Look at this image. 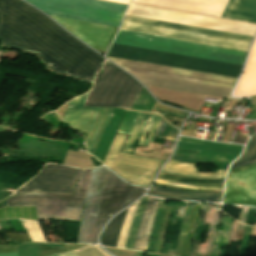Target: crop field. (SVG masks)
<instances>
[{
	"label": "crop field",
	"instance_id": "crop-field-1",
	"mask_svg": "<svg viewBox=\"0 0 256 256\" xmlns=\"http://www.w3.org/2000/svg\"><path fill=\"white\" fill-rule=\"evenodd\" d=\"M4 46L38 55L53 71L92 81L105 59L19 0H0Z\"/></svg>",
	"mask_w": 256,
	"mask_h": 256
},
{
	"label": "crop field",
	"instance_id": "crop-field-2",
	"mask_svg": "<svg viewBox=\"0 0 256 256\" xmlns=\"http://www.w3.org/2000/svg\"><path fill=\"white\" fill-rule=\"evenodd\" d=\"M145 191L128 185L106 167L93 169L77 243H97L105 222Z\"/></svg>",
	"mask_w": 256,
	"mask_h": 256
},
{
	"label": "crop field",
	"instance_id": "crop-field-3",
	"mask_svg": "<svg viewBox=\"0 0 256 256\" xmlns=\"http://www.w3.org/2000/svg\"><path fill=\"white\" fill-rule=\"evenodd\" d=\"M124 20L249 41L248 43L246 41H241V40H235V39L127 22V21H124L121 26V30L123 31L135 32V33L243 50V51L246 50L247 43H248V47L246 51H248L249 45L253 38L250 36H244V35H238V34H232V33H226V32L214 31V30H207V29L171 24V23H164V22L128 17V16H125Z\"/></svg>",
	"mask_w": 256,
	"mask_h": 256
},
{
	"label": "crop field",
	"instance_id": "crop-field-4",
	"mask_svg": "<svg viewBox=\"0 0 256 256\" xmlns=\"http://www.w3.org/2000/svg\"><path fill=\"white\" fill-rule=\"evenodd\" d=\"M92 169L81 170L74 195L55 193H25L7 200L8 206L37 204L39 220L79 221Z\"/></svg>",
	"mask_w": 256,
	"mask_h": 256
},
{
	"label": "crop field",
	"instance_id": "crop-field-5",
	"mask_svg": "<svg viewBox=\"0 0 256 256\" xmlns=\"http://www.w3.org/2000/svg\"><path fill=\"white\" fill-rule=\"evenodd\" d=\"M114 44L234 63L243 64L245 53L243 51L129 33L119 31Z\"/></svg>",
	"mask_w": 256,
	"mask_h": 256
},
{
	"label": "crop field",
	"instance_id": "crop-field-6",
	"mask_svg": "<svg viewBox=\"0 0 256 256\" xmlns=\"http://www.w3.org/2000/svg\"><path fill=\"white\" fill-rule=\"evenodd\" d=\"M109 57L229 76L238 78L242 67L240 65L120 46L111 45L107 54Z\"/></svg>",
	"mask_w": 256,
	"mask_h": 256
},
{
	"label": "crop field",
	"instance_id": "crop-field-7",
	"mask_svg": "<svg viewBox=\"0 0 256 256\" xmlns=\"http://www.w3.org/2000/svg\"><path fill=\"white\" fill-rule=\"evenodd\" d=\"M51 16L118 27L125 4L102 0H26Z\"/></svg>",
	"mask_w": 256,
	"mask_h": 256
},
{
	"label": "crop field",
	"instance_id": "crop-field-8",
	"mask_svg": "<svg viewBox=\"0 0 256 256\" xmlns=\"http://www.w3.org/2000/svg\"><path fill=\"white\" fill-rule=\"evenodd\" d=\"M141 88L131 76L108 62L84 106L130 109Z\"/></svg>",
	"mask_w": 256,
	"mask_h": 256
},
{
	"label": "crop field",
	"instance_id": "crop-field-9",
	"mask_svg": "<svg viewBox=\"0 0 256 256\" xmlns=\"http://www.w3.org/2000/svg\"><path fill=\"white\" fill-rule=\"evenodd\" d=\"M126 15L254 36L256 25L131 4Z\"/></svg>",
	"mask_w": 256,
	"mask_h": 256
},
{
	"label": "crop field",
	"instance_id": "crop-field-10",
	"mask_svg": "<svg viewBox=\"0 0 256 256\" xmlns=\"http://www.w3.org/2000/svg\"><path fill=\"white\" fill-rule=\"evenodd\" d=\"M252 163H256V134L230 169ZM223 203L256 207V164L228 172Z\"/></svg>",
	"mask_w": 256,
	"mask_h": 256
},
{
	"label": "crop field",
	"instance_id": "crop-field-11",
	"mask_svg": "<svg viewBox=\"0 0 256 256\" xmlns=\"http://www.w3.org/2000/svg\"><path fill=\"white\" fill-rule=\"evenodd\" d=\"M126 138L116 135L103 164L129 182L148 187L163 161L120 152Z\"/></svg>",
	"mask_w": 256,
	"mask_h": 256
},
{
	"label": "crop field",
	"instance_id": "crop-field-12",
	"mask_svg": "<svg viewBox=\"0 0 256 256\" xmlns=\"http://www.w3.org/2000/svg\"><path fill=\"white\" fill-rule=\"evenodd\" d=\"M109 59H111L119 66L129 71H135V72H141V73H147V74H153V75H159V76L231 87V88L234 87L237 81V79L235 78L145 64V63L115 59V58H109Z\"/></svg>",
	"mask_w": 256,
	"mask_h": 256
},
{
	"label": "crop field",
	"instance_id": "crop-field-13",
	"mask_svg": "<svg viewBox=\"0 0 256 256\" xmlns=\"http://www.w3.org/2000/svg\"><path fill=\"white\" fill-rule=\"evenodd\" d=\"M77 170L76 168L59 165H46L37 176L18 189L14 194L28 191L72 193Z\"/></svg>",
	"mask_w": 256,
	"mask_h": 256
},
{
	"label": "crop field",
	"instance_id": "crop-field-14",
	"mask_svg": "<svg viewBox=\"0 0 256 256\" xmlns=\"http://www.w3.org/2000/svg\"><path fill=\"white\" fill-rule=\"evenodd\" d=\"M93 48L106 50L118 28L52 17Z\"/></svg>",
	"mask_w": 256,
	"mask_h": 256
},
{
	"label": "crop field",
	"instance_id": "crop-field-15",
	"mask_svg": "<svg viewBox=\"0 0 256 256\" xmlns=\"http://www.w3.org/2000/svg\"><path fill=\"white\" fill-rule=\"evenodd\" d=\"M228 0H133L134 3L220 17Z\"/></svg>",
	"mask_w": 256,
	"mask_h": 256
},
{
	"label": "crop field",
	"instance_id": "crop-field-16",
	"mask_svg": "<svg viewBox=\"0 0 256 256\" xmlns=\"http://www.w3.org/2000/svg\"><path fill=\"white\" fill-rule=\"evenodd\" d=\"M87 94L70 101L62 120L88 133L100 108H83Z\"/></svg>",
	"mask_w": 256,
	"mask_h": 256
},
{
	"label": "crop field",
	"instance_id": "crop-field-17",
	"mask_svg": "<svg viewBox=\"0 0 256 256\" xmlns=\"http://www.w3.org/2000/svg\"><path fill=\"white\" fill-rule=\"evenodd\" d=\"M158 202V199L148 198L133 249L146 250Z\"/></svg>",
	"mask_w": 256,
	"mask_h": 256
},
{
	"label": "crop field",
	"instance_id": "crop-field-18",
	"mask_svg": "<svg viewBox=\"0 0 256 256\" xmlns=\"http://www.w3.org/2000/svg\"><path fill=\"white\" fill-rule=\"evenodd\" d=\"M256 94V39L251 49L247 66L234 92V96Z\"/></svg>",
	"mask_w": 256,
	"mask_h": 256
},
{
	"label": "crop field",
	"instance_id": "crop-field-19",
	"mask_svg": "<svg viewBox=\"0 0 256 256\" xmlns=\"http://www.w3.org/2000/svg\"><path fill=\"white\" fill-rule=\"evenodd\" d=\"M150 196L176 199V200H188V201H202V202H220L221 194H208V193H191L183 191L169 190L153 186L147 193Z\"/></svg>",
	"mask_w": 256,
	"mask_h": 256
},
{
	"label": "crop field",
	"instance_id": "crop-field-20",
	"mask_svg": "<svg viewBox=\"0 0 256 256\" xmlns=\"http://www.w3.org/2000/svg\"><path fill=\"white\" fill-rule=\"evenodd\" d=\"M221 17L256 22V0H230Z\"/></svg>",
	"mask_w": 256,
	"mask_h": 256
},
{
	"label": "crop field",
	"instance_id": "crop-field-21",
	"mask_svg": "<svg viewBox=\"0 0 256 256\" xmlns=\"http://www.w3.org/2000/svg\"><path fill=\"white\" fill-rule=\"evenodd\" d=\"M112 109L113 108H101L97 115L94 125H93V127L90 131V134L86 140L87 149L90 154H93V151H94L95 145L98 141V138L100 136V133H101L104 125L106 124Z\"/></svg>",
	"mask_w": 256,
	"mask_h": 256
},
{
	"label": "crop field",
	"instance_id": "crop-field-22",
	"mask_svg": "<svg viewBox=\"0 0 256 256\" xmlns=\"http://www.w3.org/2000/svg\"><path fill=\"white\" fill-rule=\"evenodd\" d=\"M127 209L116 216L105 229L102 244L116 247Z\"/></svg>",
	"mask_w": 256,
	"mask_h": 256
},
{
	"label": "crop field",
	"instance_id": "crop-field-23",
	"mask_svg": "<svg viewBox=\"0 0 256 256\" xmlns=\"http://www.w3.org/2000/svg\"><path fill=\"white\" fill-rule=\"evenodd\" d=\"M148 115L149 114H144V113L139 114L122 151L132 153L134 142L138 139L139 134L144 126V123Z\"/></svg>",
	"mask_w": 256,
	"mask_h": 256
},
{
	"label": "crop field",
	"instance_id": "crop-field-24",
	"mask_svg": "<svg viewBox=\"0 0 256 256\" xmlns=\"http://www.w3.org/2000/svg\"><path fill=\"white\" fill-rule=\"evenodd\" d=\"M158 178L196 185H222L223 181V179H195L164 173H161Z\"/></svg>",
	"mask_w": 256,
	"mask_h": 256
},
{
	"label": "crop field",
	"instance_id": "crop-field-25",
	"mask_svg": "<svg viewBox=\"0 0 256 256\" xmlns=\"http://www.w3.org/2000/svg\"><path fill=\"white\" fill-rule=\"evenodd\" d=\"M147 198H148L147 196L142 197V199L139 203V206H138V209H137V212H136V215H135V219H134V222H133V225H132V228H131V231H130L128 241H127V244H126L125 248L132 249V247H133L135 235H136V232H137V229H138L141 217H142V213H143Z\"/></svg>",
	"mask_w": 256,
	"mask_h": 256
},
{
	"label": "crop field",
	"instance_id": "crop-field-26",
	"mask_svg": "<svg viewBox=\"0 0 256 256\" xmlns=\"http://www.w3.org/2000/svg\"><path fill=\"white\" fill-rule=\"evenodd\" d=\"M137 204H138V201L135 204H133L131 207H129V209H128V212H127V215H126V218H125L122 230H121V234H120V238H119L117 247L124 248V246H125L128 230H129L133 215L135 213Z\"/></svg>",
	"mask_w": 256,
	"mask_h": 256
},
{
	"label": "crop field",
	"instance_id": "crop-field-27",
	"mask_svg": "<svg viewBox=\"0 0 256 256\" xmlns=\"http://www.w3.org/2000/svg\"><path fill=\"white\" fill-rule=\"evenodd\" d=\"M176 132H177L176 129H174L172 126L166 124L163 121V119H161V121H160V123L157 127V131H156L153 139L151 140V142L154 141L155 137L174 141L175 136H176Z\"/></svg>",
	"mask_w": 256,
	"mask_h": 256
},
{
	"label": "crop field",
	"instance_id": "crop-field-28",
	"mask_svg": "<svg viewBox=\"0 0 256 256\" xmlns=\"http://www.w3.org/2000/svg\"><path fill=\"white\" fill-rule=\"evenodd\" d=\"M77 256H110L99 245H90L76 251Z\"/></svg>",
	"mask_w": 256,
	"mask_h": 256
},
{
	"label": "crop field",
	"instance_id": "crop-field-29",
	"mask_svg": "<svg viewBox=\"0 0 256 256\" xmlns=\"http://www.w3.org/2000/svg\"><path fill=\"white\" fill-rule=\"evenodd\" d=\"M153 111H156V112H159V113H162V114H166V115L183 117V118H186L187 115H188L187 113H184V112L178 111L176 109L158 104L157 102H156V104L153 108Z\"/></svg>",
	"mask_w": 256,
	"mask_h": 256
},
{
	"label": "crop field",
	"instance_id": "crop-field-30",
	"mask_svg": "<svg viewBox=\"0 0 256 256\" xmlns=\"http://www.w3.org/2000/svg\"><path fill=\"white\" fill-rule=\"evenodd\" d=\"M17 235L22 243H31V240L28 234H17Z\"/></svg>",
	"mask_w": 256,
	"mask_h": 256
},
{
	"label": "crop field",
	"instance_id": "crop-field-31",
	"mask_svg": "<svg viewBox=\"0 0 256 256\" xmlns=\"http://www.w3.org/2000/svg\"><path fill=\"white\" fill-rule=\"evenodd\" d=\"M237 136L236 134L232 142L244 144L246 139L237 138Z\"/></svg>",
	"mask_w": 256,
	"mask_h": 256
}]
</instances>
